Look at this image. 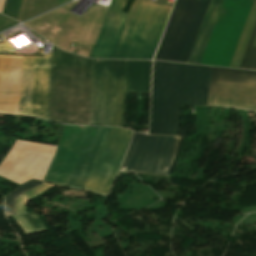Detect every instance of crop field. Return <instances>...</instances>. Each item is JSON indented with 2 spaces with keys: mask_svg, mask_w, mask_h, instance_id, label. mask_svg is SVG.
Segmentation results:
<instances>
[{
  "mask_svg": "<svg viewBox=\"0 0 256 256\" xmlns=\"http://www.w3.org/2000/svg\"><path fill=\"white\" fill-rule=\"evenodd\" d=\"M126 1L112 0L90 58H153L170 8L135 0L124 14Z\"/></svg>",
  "mask_w": 256,
  "mask_h": 256,
  "instance_id": "obj_1",
  "label": "crop field"
},
{
  "mask_svg": "<svg viewBox=\"0 0 256 256\" xmlns=\"http://www.w3.org/2000/svg\"><path fill=\"white\" fill-rule=\"evenodd\" d=\"M210 67L154 62L149 134L177 135L179 105H207Z\"/></svg>",
  "mask_w": 256,
  "mask_h": 256,
  "instance_id": "obj_2",
  "label": "crop field"
},
{
  "mask_svg": "<svg viewBox=\"0 0 256 256\" xmlns=\"http://www.w3.org/2000/svg\"><path fill=\"white\" fill-rule=\"evenodd\" d=\"M21 57L0 56V112L17 114ZM51 56L22 57L18 114L47 119Z\"/></svg>",
  "mask_w": 256,
  "mask_h": 256,
  "instance_id": "obj_3",
  "label": "crop field"
},
{
  "mask_svg": "<svg viewBox=\"0 0 256 256\" xmlns=\"http://www.w3.org/2000/svg\"><path fill=\"white\" fill-rule=\"evenodd\" d=\"M92 60L53 47L48 120L88 125Z\"/></svg>",
  "mask_w": 256,
  "mask_h": 256,
  "instance_id": "obj_4",
  "label": "crop field"
},
{
  "mask_svg": "<svg viewBox=\"0 0 256 256\" xmlns=\"http://www.w3.org/2000/svg\"><path fill=\"white\" fill-rule=\"evenodd\" d=\"M108 128L89 127L67 186L84 189ZM132 131L109 128L85 187L106 195L121 164Z\"/></svg>",
  "mask_w": 256,
  "mask_h": 256,
  "instance_id": "obj_5",
  "label": "crop field"
},
{
  "mask_svg": "<svg viewBox=\"0 0 256 256\" xmlns=\"http://www.w3.org/2000/svg\"><path fill=\"white\" fill-rule=\"evenodd\" d=\"M126 61L93 62L89 125L122 127Z\"/></svg>",
  "mask_w": 256,
  "mask_h": 256,
  "instance_id": "obj_6",
  "label": "crop field"
},
{
  "mask_svg": "<svg viewBox=\"0 0 256 256\" xmlns=\"http://www.w3.org/2000/svg\"><path fill=\"white\" fill-rule=\"evenodd\" d=\"M210 0H176L154 59L187 63Z\"/></svg>",
  "mask_w": 256,
  "mask_h": 256,
  "instance_id": "obj_7",
  "label": "crop field"
},
{
  "mask_svg": "<svg viewBox=\"0 0 256 256\" xmlns=\"http://www.w3.org/2000/svg\"><path fill=\"white\" fill-rule=\"evenodd\" d=\"M181 138L135 132L121 171L168 175Z\"/></svg>",
  "mask_w": 256,
  "mask_h": 256,
  "instance_id": "obj_8",
  "label": "crop field"
},
{
  "mask_svg": "<svg viewBox=\"0 0 256 256\" xmlns=\"http://www.w3.org/2000/svg\"><path fill=\"white\" fill-rule=\"evenodd\" d=\"M208 105L256 111V72L211 67Z\"/></svg>",
  "mask_w": 256,
  "mask_h": 256,
  "instance_id": "obj_9",
  "label": "crop field"
},
{
  "mask_svg": "<svg viewBox=\"0 0 256 256\" xmlns=\"http://www.w3.org/2000/svg\"><path fill=\"white\" fill-rule=\"evenodd\" d=\"M53 156L11 148L0 163V175L17 184L32 178L42 180Z\"/></svg>",
  "mask_w": 256,
  "mask_h": 256,
  "instance_id": "obj_10",
  "label": "crop field"
},
{
  "mask_svg": "<svg viewBox=\"0 0 256 256\" xmlns=\"http://www.w3.org/2000/svg\"><path fill=\"white\" fill-rule=\"evenodd\" d=\"M88 127L65 126L44 181L65 184L79 154Z\"/></svg>",
  "mask_w": 256,
  "mask_h": 256,
  "instance_id": "obj_11",
  "label": "crop field"
},
{
  "mask_svg": "<svg viewBox=\"0 0 256 256\" xmlns=\"http://www.w3.org/2000/svg\"><path fill=\"white\" fill-rule=\"evenodd\" d=\"M151 61H127L125 92L149 93Z\"/></svg>",
  "mask_w": 256,
  "mask_h": 256,
  "instance_id": "obj_12",
  "label": "crop field"
},
{
  "mask_svg": "<svg viewBox=\"0 0 256 256\" xmlns=\"http://www.w3.org/2000/svg\"><path fill=\"white\" fill-rule=\"evenodd\" d=\"M222 3L223 0H211L188 63H200Z\"/></svg>",
  "mask_w": 256,
  "mask_h": 256,
  "instance_id": "obj_13",
  "label": "crop field"
},
{
  "mask_svg": "<svg viewBox=\"0 0 256 256\" xmlns=\"http://www.w3.org/2000/svg\"><path fill=\"white\" fill-rule=\"evenodd\" d=\"M43 182L41 181H35V180H31L19 187H17L16 189L12 190L6 197L5 199V209H6V215L10 216V215H14L16 214L15 211V202L17 200V198L22 195L24 192L36 187L37 185L41 184Z\"/></svg>",
  "mask_w": 256,
  "mask_h": 256,
  "instance_id": "obj_14",
  "label": "crop field"
},
{
  "mask_svg": "<svg viewBox=\"0 0 256 256\" xmlns=\"http://www.w3.org/2000/svg\"><path fill=\"white\" fill-rule=\"evenodd\" d=\"M53 186L54 185H52V184L43 183V184L37 186L36 188L30 190L29 192L23 194L22 196H20L16 202L17 214L25 212V206L31 198L37 196L41 192H43Z\"/></svg>",
  "mask_w": 256,
  "mask_h": 256,
  "instance_id": "obj_15",
  "label": "crop field"
},
{
  "mask_svg": "<svg viewBox=\"0 0 256 256\" xmlns=\"http://www.w3.org/2000/svg\"><path fill=\"white\" fill-rule=\"evenodd\" d=\"M255 35H256V25L239 68L256 70V48L251 47Z\"/></svg>",
  "mask_w": 256,
  "mask_h": 256,
  "instance_id": "obj_16",
  "label": "crop field"
},
{
  "mask_svg": "<svg viewBox=\"0 0 256 256\" xmlns=\"http://www.w3.org/2000/svg\"><path fill=\"white\" fill-rule=\"evenodd\" d=\"M14 148L27 149V150H33V151H39V152H45V153H51V154H54L56 150L55 146H49V145L20 141V140L16 141Z\"/></svg>",
  "mask_w": 256,
  "mask_h": 256,
  "instance_id": "obj_17",
  "label": "crop field"
},
{
  "mask_svg": "<svg viewBox=\"0 0 256 256\" xmlns=\"http://www.w3.org/2000/svg\"><path fill=\"white\" fill-rule=\"evenodd\" d=\"M20 4L21 0H5L2 13L16 20Z\"/></svg>",
  "mask_w": 256,
  "mask_h": 256,
  "instance_id": "obj_18",
  "label": "crop field"
},
{
  "mask_svg": "<svg viewBox=\"0 0 256 256\" xmlns=\"http://www.w3.org/2000/svg\"><path fill=\"white\" fill-rule=\"evenodd\" d=\"M25 216L27 217L35 232L46 231L45 226L37 214H25Z\"/></svg>",
  "mask_w": 256,
  "mask_h": 256,
  "instance_id": "obj_19",
  "label": "crop field"
},
{
  "mask_svg": "<svg viewBox=\"0 0 256 256\" xmlns=\"http://www.w3.org/2000/svg\"><path fill=\"white\" fill-rule=\"evenodd\" d=\"M25 234L33 233L34 230L31 228L29 223L23 217V215L13 217Z\"/></svg>",
  "mask_w": 256,
  "mask_h": 256,
  "instance_id": "obj_20",
  "label": "crop field"
},
{
  "mask_svg": "<svg viewBox=\"0 0 256 256\" xmlns=\"http://www.w3.org/2000/svg\"><path fill=\"white\" fill-rule=\"evenodd\" d=\"M3 4H4V0H0V13L2 12Z\"/></svg>",
  "mask_w": 256,
  "mask_h": 256,
  "instance_id": "obj_21",
  "label": "crop field"
}]
</instances>
